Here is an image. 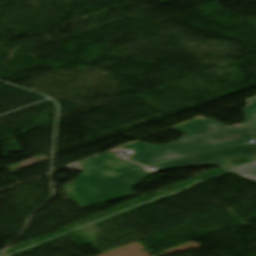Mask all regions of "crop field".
I'll use <instances>...</instances> for the list:
<instances>
[{"label":"crop field","instance_id":"1","mask_svg":"<svg viewBox=\"0 0 256 256\" xmlns=\"http://www.w3.org/2000/svg\"><path fill=\"white\" fill-rule=\"evenodd\" d=\"M249 105L244 107L247 127H225L213 120H194L175 127L187 137L168 145H153L137 142L123 146L134 153L128 160L149 166L207 150L256 142V98L249 100Z\"/></svg>","mask_w":256,"mask_h":256},{"label":"crop field","instance_id":"2","mask_svg":"<svg viewBox=\"0 0 256 256\" xmlns=\"http://www.w3.org/2000/svg\"><path fill=\"white\" fill-rule=\"evenodd\" d=\"M80 165L87 171L63 188L82 208L132 195L130 188L148 176L145 167L124 159L115 160L106 154Z\"/></svg>","mask_w":256,"mask_h":256},{"label":"crop field","instance_id":"3","mask_svg":"<svg viewBox=\"0 0 256 256\" xmlns=\"http://www.w3.org/2000/svg\"><path fill=\"white\" fill-rule=\"evenodd\" d=\"M248 157H256V144L226 147L216 151L155 166L154 168L157 171H167L181 167L209 166L219 164L223 169H230L233 168V166L228 161L229 158Z\"/></svg>","mask_w":256,"mask_h":256},{"label":"crop field","instance_id":"4","mask_svg":"<svg viewBox=\"0 0 256 256\" xmlns=\"http://www.w3.org/2000/svg\"><path fill=\"white\" fill-rule=\"evenodd\" d=\"M230 172L256 181V162L248 164L244 167L236 168Z\"/></svg>","mask_w":256,"mask_h":256},{"label":"crop field","instance_id":"5","mask_svg":"<svg viewBox=\"0 0 256 256\" xmlns=\"http://www.w3.org/2000/svg\"><path fill=\"white\" fill-rule=\"evenodd\" d=\"M252 21L256 22V19H254V20H252Z\"/></svg>","mask_w":256,"mask_h":256}]
</instances>
